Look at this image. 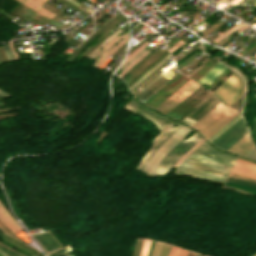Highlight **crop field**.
<instances>
[{
	"instance_id": "8a807250",
	"label": "crop field",
	"mask_w": 256,
	"mask_h": 256,
	"mask_svg": "<svg viewBox=\"0 0 256 256\" xmlns=\"http://www.w3.org/2000/svg\"><path fill=\"white\" fill-rule=\"evenodd\" d=\"M247 127L242 118L237 120L233 125H231L227 130H225L221 135H219L216 139L212 141L213 145L226 150L230 147L234 142H236L239 138H241L244 134H246ZM254 149L250 139L249 134L243 136L240 140H238L234 145H232L227 151L239 154L246 155Z\"/></svg>"
},
{
	"instance_id": "ac0d7876",
	"label": "crop field",
	"mask_w": 256,
	"mask_h": 256,
	"mask_svg": "<svg viewBox=\"0 0 256 256\" xmlns=\"http://www.w3.org/2000/svg\"><path fill=\"white\" fill-rule=\"evenodd\" d=\"M238 113L225 107L223 104L216 106L211 112H209L203 119H201L196 125L193 126L196 130L200 131L207 139L211 137L215 132L227 124L231 119H233ZM240 117V114L236 116L232 121L220 129L216 134H214L208 140L214 139L223 130H225L229 125H231L236 119Z\"/></svg>"
},
{
	"instance_id": "34b2d1b8",
	"label": "crop field",
	"mask_w": 256,
	"mask_h": 256,
	"mask_svg": "<svg viewBox=\"0 0 256 256\" xmlns=\"http://www.w3.org/2000/svg\"><path fill=\"white\" fill-rule=\"evenodd\" d=\"M207 172H214L222 175H227L228 170H224L221 168H217L214 166H210L207 164L195 162L186 159L175 171L176 174L186 175L190 177L210 180L214 182L223 183L225 178L224 176H220L213 173H206ZM230 172V171H229Z\"/></svg>"
},
{
	"instance_id": "412701ff",
	"label": "crop field",
	"mask_w": 256,
	"mask_h": 256,
	"mask_svg": "<svg viewBox=\"0 0 256 256\" xmlns=\"http://www.w3.org/2000/svg\"><path fill=\"white\" fill-rule=\"evenodd\" d=\"M243 91V82L235 73L229 77L218 89L213 93L228 106L237 100Z\"/></svg>"
},
{
	"instance_id": "f4fd0767",
	"label": "crop field",
	"mask_w": 256,
	"mask_h": 256,
	"mask_svg": "<svg viewBox=\"0 0 256 256\" xmlns=\"http://www.w3.org/2000/svg\"><path fill=\"white\" fill-rule=\"evenodd\" d=\"M199 86L200 85L190 80L180 89L174 92L171 96H169L160 105H158L155 109L166 114Z\"/></svg>"
},
{
	"instance_id": "dd49c442",
	"label": "crop field",
	"mask_w": 256,
	"mask_h": 256,
	"mask_svg": "<svg viewBox=\"0 0 256 256\" xmlns=\"http://www.w3.org/2000/svg\"><path fill=\"white\" fill-rule=\"evenodd\" d=\"M188 80L189 79L179 73L175 78H173L168 84H166L162 89H160L143 104L154 108Z\"/></svg>"
},
{
	"instance_id": "e52e79f7",
	"label": "crop field",
	"mask_w": 256,
	"mask_h": 256,
	"mask_svg": "<svg viewBox=\"0 0 256 256\" xmlns=\"http://www.w3.org/2000/svg\"><path fill=\"white\" fill-rule=\"evenodd\" d=\"M10 13L24 19V20H27L31 23H34V24H38V25H41L43 26V24L45 22H49L59 28H62V27H66L65 25L61 24V23H58L52 19H49L43 15H40L26 7H24L23 5L19 4L15 9H13Z\"/></svg>"
},
{
	"instance_id": "d8731c3e",
	"label": "crop field",
	"mask_w": 256,
	"mask_h": 256,
	"mask_svg": "<svg viewBox=\"0 0 256 256\" xmlns=\"http://www.w3.org/2000/svg\"><path fill=\"white\" fill-rule=\"evenodd\" d=\"M219 103L220 102L212 96L182 121L192 127Z\"/></svg>"
},
{
	"instance_id": "5a996713",
	"label": "crop field",
	"mask_w": 256,
	"mask_h": 256,
	"mask_svg": "<svg viewBox=\"0 0 256 256\" xmlns=\"http://www.w3.org/2000/svg\"><path fill=\"white\" fill-rule=\"evenodd\" d=\"M214 157H215V159H210L208 157H205L203 155H200V154H197V153L193 152L188 157V159H192V160H195V161L211 164V165L218 166V167L228 169V170H230L232 168L233 164H234V161H230V160L223 159V158L216 157V156H214Z\"/></svg>"
},
{
	"instance_id": "3316defc",
	"label": "crop field",
	"mask_w": 256,
	"mask_h": 256,
	"mask_svg": "<svg viewBox=\"0 0 256 256\" xmlns=\"http://www.w3.org/2000/svg\"><path fill=\"white\" fill-rule=\"evenodd\" d=\"M227 67L221 65L220 63H216L213 67H211L202 77H200L196 82L199 84H207L211 85L226 69Z\"/></svg>"
},
{
	"instance_id": "28ad6ade",
	"label": "crop field",
	"mask_w": 256,
	"mask_h": 256,
	"mask_svg": "<svg viewBox=\"0 0 256 256\" xmlns=\"http://www.w3.org/2000/svg\"><path fill=\"white\" fill-rule=\"evenodd\" d=\"M195 152H198L200 154H205V155H208L210 157H213L214 155H217V156H221V157H224V158H227V159H231V160H234V161L237 158L236 156L229 155V154L217 151V150L209 147L206 144L205 141L195 150Z\"/></svg>"
},
{
	"instance_id": "d1516ede",
	"label": "crop field",
	"mask_w": 256,
	"mask_h": 256,
	"mask_svg": "<svg viewBox=\"0 0 256 256\" xmlns=\"http://www.w3.org/2000/svg\"><path fill=\"white\" fill-rule=\"evenodd\" d=\"M1 204V203H0ZM5 209V208H4ZM3 209V207L0 205V220L3 222V224L10 229L13 233L21 230L18 225L13 221V219L8 215V213Z\"/></svg>"
},
{
	"instance_id": "22f410ed",
	"label": "crop field",
	"mask_w": 256,
	"mask_h": 256,
	"mask_svg": "<svg viewBox=\"0 0 256 256\" xmlns=\"http://www.w3.org/2000/svg\"><path fill=\"white\" fill-rule=\"evenodd\" d=\"M216 62L212 60H208L202 67H200L194 74H192L189 78L193 80H197L200 76H202L211 66H213Z\"/></svg>"
},
{
	"instance_id": "cbeb9de0",
	"label": "crop field",
	"mask_w": 256,
	"mask_h": 256,
	"mask_svg": "<svg viewBox=\"0 0 256 256\" xmlns=\"http://www.w3.org/2000/svg\"><path fill=\"white\" fill-rule=\"evenodd\" d=\"M232 172L256 179V172L234 165Z\"/></svg>"
},
{
	"instance_id": "5142ce71",
	"label": "crop field",
	"mask_w": 256,
	"mask_h": 256,
	"mask_svg": "<svg viewBox=\"0 0 256 256\" xmlns=\"http://www.w3.org/2000/svg\"><path fill=\"white\" fill-rule=\"evenodd\" d=\"M236 165L243 166L256 171V163H252L244 159L239 158L238 161L236 162Z\"/></svg>"
},
{
	"instance_id": "d9b57169",
	"label": "crop field",
	"mask_w": 256,
	"mask_h": 256,
	"mask_svg": "<svg viewBox=\"0 0 256 256\" xmlns=\"http://www.w3.org/2000/svg\"><path fill=\"white\" fill-rule=\"evenodd\" d=\"M168 54V51L165 52L161 57H159L154 63H152L147 69H145L139 76H137L132 82L128 84L130 86L132 83H134L137 79H139L142 75H144L150 68H152L158 61H160L162 58H164Z\"/></svg>"
},
{
	"instance_id": "733c2abd",
	"label": "crop field",
	"mask_w": 256,
	"mask_h": 256,
	"mask_svg": "<svg viewBox=\"0 0 256 256\" xmlns=\"http://www.w3.org/2000/svg\"><path fill=\"white\" fill-rule=\"evenodd\" d=\"M164 72V71H163ZM161 70L156 73L153 77H151L148 81H146L142 86H140L133 95L135 96L138 92H140L143 88H145L149 83H151L154 79H156L160 74L163 73Z\"/></svg>"
},
{
	"instance_id": "4a817a6b",
	"label": "crop field",
	"mask_w": 256,
	"mask_h": 256,
	"mask_svg": "<svg viewBox=\"0 0 256 256\" xmlns=\"http://www.w3.org/2000/svg\"><path fill=\"white\" fill-rule=\"evenodd\" d=\"M186 254L187 250L179 249L173 246L169 256H186Z\"/></svg>"
},
{
	"instance_id": "bc2a9ffb",
	"label": "crop field",
	"mask_w": 256,
	"mask_h": 256,
	"mask_svg": "<svg viewBox=\"0 0 256 256\" xmlns=\"http://www.w3.org/2000/svg\"><path fill=\"white\" fill-rule=\"evenodd\" d=\"M171 55L169 54L166 56L163 60H161L156 66H154L149 72H147L144 76H142L138 81H136L133 85H131L129 88L130 90L138 84L143 78H145L149 73H151L156 67H158L161 63H163L166 59H168Z\"/></svg>"
},
{
	"instance_id": "214f88e0",
	"label": "crop field",
	"mask_w": 256,
	"mask_h": 256,
	"mask_svg": "<svg viewBox=\"0 0 256 256\" xmlns=\"http://www.w3.org/2000/svg\"><path fill=\"white\" fill-rule=\"evenodd\" d=\"M71 251L72 250H71L70 246L68 245V246H66V247H64V248H62V249H60V250H58V251L48 255V256H61V255H64L66 253H69Z\"/></svg>"
},
{
	"instance_id": "92a150f3",
	"label": "crop field",
	"mask_w": 256,
	"mask_h": 256,
	"mask_svg": "<svg viewBox=\"0 0 256 256\" xmlns=\"http://www.w3.org/2000/svg\"><path fill=\"white\" fill-rule=\"evenodd\" d=\"M2 47H3V50H4V52H5V55H6L7 60H8V61L15 60L14 57H13V55H12V52H11L9 46H8V44H7V45H3Z\"/></svg>"
},
{
	"instance_id": "dafd665d",
	"label": "crop field",
	"mask_w": 256,
	"mask_h": 256,
	"mask_svg": "<svg viewBox=\"0 0 256 256\" xmlns=\"http://www.w3.org/2000/svg\"><path fill=\"white\" fill-rule=\"evenodd\" d=\"M171 247H172L171 245H167V244L163 243V246H162L159 256H168Z\"/></svg>"
},
{
	"instance_id": "00972430",
	"label": "crop field",
	"mask_w": 256,
	"mask_h": 256,
	"mask_svg": "<svg viewBox=\"0 0 256 256\" xmlns=\"http://www.w3.org/2000/svg\"><path fill=\"white\" fill-rule=\"evenodd\" d=\"M138 242H139V240H138V239H136V242H135V248H134V254H133V256H136L137 247H138ZM142 242H143V240H140V242H139V247H138V252H137V256H139V254H140V252H141Z\"/></svg>"
},
{
	"instance_id": "a9b5d70f",
	"label": "crop field",
	"mask_w": 256,
	"mask_h": 256,
	"mask_svg": "<svg viewBox=\"0 0 256 256\" xmlns=\"http://www.w3.org/2000/svg\"><path fill=\"white\" fill-rule=\"evenodd\" d=\"M158 244H159V243L155 242V244H154V248H153V252H152V255H151V256H154V254H155V251H156V249H157ZM161 244H162V243H160V244H159V246H158V249H157V251H156L155 256H158L159 251H160V248H161Z\"/></svg>"
},
{
	"instance_id": "4177f3b9",
	"label": "crop field",
	"mask_w": 256,
	"mask_h": 256,
	"mask_svg": "<svg viewBox=\"0 0 256 256\" xmlns=\"http://www.w3.org/2000/svg\"><path fill=\"white\" fill-rule=\"evenodd\" d=\"M241 98H242V96L231 106V108L239 111L240 104H241Z\"/></svg>"
},
{
	"instance_id": "730fd06b",
	"label": "crop field",
	"mask_w": 256,
	"mask_h": 256,
	"mask_svg": "<svg viewBox=\"0 0 256 256\" xmlns=\"http://www.w3.org/2000/svg\"><path fill=\"white\" fill-rule=\"evenodd\" d=\"M231 17L227 18L226 20H224L223 22H221L220 24H218L217 26H215L214 28H212L211 30H209L207 33H205L202 37H205L206 35H208L209 33H211L213 30H215L216 28H218L219 26H221L223 23H225L226 21H228Z\"/></svg>"
},
{
	"instance_id": "eef30255",
	"label": "crop field",
	"mask_w": 256,
	"mask_h": 256,
	"mask_svg": "<svg viewBox=\"0 0 256 256\" xmlns=\"http://www.w3.org/2000/svg\"><path fill=\"white\" fill-rule=\"evenodd\" d=\"M107 135H108V134L105 133V134L101 137V139L95 144V146L97 147Z\"/></svg>"
},
{
	"instance_id": "ae1a2a85",
	"label": "crop field",
	"mask_w": 256,
	"mask_h": 256,
	"mask_svg": "<svg viewBox=\"0 0 256 256\" xmlns=\"http://www.w3.org/2000/svg\"><path fill=\"white\" fill-rule=\"evenodd\" d=\"M195 109V107H193L191 110H189L186 114H184L181 118H179L178 120L181 121L184 117H186L191 111H193Z\"/></svg>"
},
{
	"instance_id": "d3111659",
	"label": "crop field",
	"mask_w": 256,
	"mask_h": 256,
	"mask_svg": "<svg viewBox=\"0 0 256 256\" xmlns=\"http://www.w3.org/2000/svg\"><path fill=\"white\" fill-rule=\"evenodd\" d=\"M67 1L71 2L72 4L76 5L77 7H79L81 5L80 3H78V2H76L74 0H67Z\"/></svg>"
},
{
	"instance_id": "750c4746",
	"label": "crop field",
	"mask_w": 256,
	"mask_h": 256,
	"mask_svg": "<svg viewBox=\"0 0 256 256\" xmlns=\"http://www.w3.org/2000/svg\"><path fill=\"white\" fill-rule=\"evenodd\" d=\"M14 115H17V113L7 114V115H0V118L10 117V116H14Z\"/></svg>"
},
{
	"instance_id": "bd1437ed",
	"label": "crop field",
	"mask_w": 256,
	"mask_h": 256,
	"mask_svg": "<svg viewBox=\"0 0 256 256\" xmlns=\"http://www.w3.org/2000/svg\"><path fill=\"white\" fill-rule=\"evenodd\" d=\"M249 0H241L238 4H245V3H247ZM256 2V0L255 1H253L252 3H255Z\"/></svg>"
},
{
	"instance_id": "1d83c4d3",
	"label": "crop field",
	"mask_w": 256,
	"mask_h": 256,
	"mask_svg": "<svg viewBox=\"0 0 256 256\" xmlns=\"http://www.w3.org/2000/svg\"><path fill=\"white\" fill-rule=\"evenodd\" d=\"M240 0H232L230 3H235L237 4Z\"/></svg>"
},
{
	"instance_id": "120bbe31",
	"label": "crop field",
	"mask_w": 256,
	"mask_h": 256,
	"mask_svg": "<svg viewBox=\"0 0 256 256\" xmlns=\"http://www.w3.org/2000/svg\"><path fill=\"white\" fill-rule=\"evenodd\" d=\"M254 124H255V127H256V118H254Z\"/></svg>"
},
{
	"instance_id": "d32e631a",
	"label": "crop field",
	"mask_w": 256,
	"mask_h": 256,
	"mask_svg": "<svg viewBox=\"0 0 256 256\" xmlns=\"http://www.w3.org/2000/svg\"><path fill=\"white\" fill-rule=\"evenodd\" d=\"M253 48H255V47H253ZM253 48H251V49H253ZM251 49H250V50H251ZM250 50H248V51H250ZM248 51H247V52H248ZM247 52H245L244 54H246ZM244 54H242V56H243Z\"/></svg>"
},
{
	"instance_id": "5866460e",
	"label": "crop field",
	"mask_w": 256,
	"mask_h": 256,
	"mask_svg": "<svg viewBox=\"0 0 256 256\" xmlns=\"http://www.w3.org/2000/svg\"><path fill=\"white\" fill-rule=\"evenodd\" d=\"M210 95H211V94H210ZM210 95H209V96H210ZM209 96H207V97H209ZM207 97H206V98H207ZM206 98H205V99H206ZM205 99H204V100H205ZM204 100H203V101H204ZM203 101H201V102H203ZM201 102H200V103H201ZM200 103H199V104H200ZM199 104H198V105H199Z\"/></svg>"
},
{
	"instance_id": "028f5c9d",
	"label": "crop field",
	"mask_w": 256,
	"mask_h": 256,
	"mask_svg": "<svg viewBox=\"0 0 256 256\" xmlns=\"http://www.w3.org/2000/svg\"><path fill=\"white\" fill-rule=\"evenodd\" d=\"M195 256H200V255H198V254H195Z\"/></svg>"
},
{
	"instance_id": "e1f06a70",
	"label": "crop field",
	"mask_w": 256,
	"mask_h": 256,
	"mask_svg": "<svg viewBox=\"0 0 256 256\" xmlns=\"http://www.w3.org/2000/svg\"><path fill=\"white\" fill-rule=\"evenodd\" d=\"M254 256H256V254Z\"/></svg>"
},
{
	"instance_id": "0bd39190",
	"label": "crop field",
	"mask_w": 256,
	"mask_h": 256,
	"mask_svg": "<svg viewBox=\"0 0 256 256\" xmlns=\"http://www.w3.org/2000/svg\"><path fill=\"white\" fill-rule=\"evenodd\" d=\"M255 5H256V3H255Z\"/></svg>"
}]
</instances>
